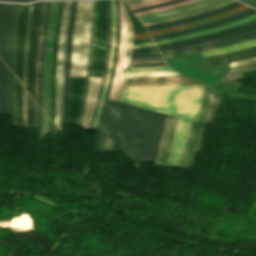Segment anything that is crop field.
<instances>
[{
    "label": "crop field",
    "mask_w": 256,
    "mask_h": 256,
    "mask_svg": "<svg viewBox=\"0 0 256 256\" xmlns=\"http://www.w3.org/2000/svg\"><path fill=\"white\" fill-rule=\"evenodd\" d=\"M165 114L109 100L95 149L122 151L134 162H155Z\"/></svg>",
    "instance_id": "crop-field-1"
},
{
    "label": "crop field",
    "mask_w": 256,
    "mask_h": 256,
    "mask_svg": "<svg viewBox=\"0 0 256 256\" xmlns=\"http://www.w3.org/2000/svg\"><path fill=\"white\" fill-rule=\"evenodd\" d=\"M201 94L202 86H126L123 102L196 121Z\"/></svg>",
    "instance_id": "crop-field-2"
},
{
    "label": "crop field",
    "mask_w": 256,
    "mask_h": 256,
    "mask_svg": "<svg viewBox=\"0 0 256 256\" xmlns=\"http://www.w3.org/2000/svg\"><path fill=\"white\" fill-rule=\"evenodd\" d=\"M93 0L78 1L72 45L71 75L85 77L88 61ZM71 76L66 125L76 126L83 94L84 78Z\"/></svg>",
    "instance_id": "crop-field-3"
},
{
    "label": "crop field",
    "mask_w": 256,
    "mask_h": 256,
    "mask_svg": "<svg viewBox=\"0 0 256 256\" xmlns=\"http://www.w3.org/2000/svg\"><path fill=\"white\" fill-rule=\"evenodd\" d=\"M108 0H98L95 28V44L90 77L101 78L107 39ZM101 79L90 78L81 127H89Z\"/></svg>",
    "instance_id": "crop-field-4"
},
{
    "label": "crop field",
    "mask_w": 256,
    "mask_h": 256,
    "mask_svg": "<svg viewBox=\"0 0 256 256\" xmlns=\"http://www.w3.org/2000/svg\"><path fill=\"white\" fill-rule=\"evenodd\" d=\"M235 0H198L178 7L138 15L144 26L198 14Z\"/></svg>",
    "instance_id": "crop-field-5"
},
{
    "label": "crop field",
    "mask_w": 256,
    "mask_h": 256,
    "mask_svg": "<svg viewBox=\"0 0 256 256\" xmlns=\"http://www.w3.org/2000/svg\"><path fill=\"white\" fill-rule=\"evenodd\" d=\"M71 1H65L62 15L59 44H58V58H57V75H56V116L55 123L61 130L62 109H63V71H64V57H65V38L68 26L69 11Z\"/></svg>",
    "instance_id": "crop-field-6"
},
{
    "label": "crop field",
    "mask_w": 256,
    "mask_h": 256,
    "mask_svg": "<svg viewBox=\"0 0 256 256\" xmlns=\"http://www.w3.org/2000/svg\"><path fill=\"white\" fill-rule=\"evenodd\" d=\"M43 1L34 2L31 24L30 37L28 43L27 69H26V89L34 98V80L36 69L37 43L39 35V24L41 18Z\"/></svg>",
    "instance_id": "crop-field-7"
},
{
    "label": "crop field",
    "mask_w": 256,
    "mask_h": 256,
    "mask_svg": "<svg viewBox=\"0 0 256 256\" xmlns=\"http://www.w3.org/2000/svg\"><path fill=\"white\" fill-rule=\"evenodd\" d=\"M254 29H256V20H254L250 23H247V24L232 27V28H229V29H226L223 31L213 33V34L196 37V38H191V39H186V40H182V41H178V42H174V43H170V44L159 45V46H157V48H158L159 52H162V51L179 48V47H183V46L199 44V43H204V42H208V41H212V40H216V39H221V38L229 37V36L236 35L239 33L251 31Z\"/></svg>",
    "instance_id": "crop-field-8"
},
{
    "label": "crop field",
    "mask_w": 256,
    "mask_h": 256,
    "mask_svg": "<svg viewBox=\"0 0 256 256\" xmlns=\"http://www.w3.org/2000/svg\"><path fill=\"white\" fill-rule=\"evenodd\" d=\"M29 6L30 4H20L19 15H18L16 54H15V74L19 77L21 82H22L26 25H27Z\"/></svg>",
    "instance_id": "crop-field-9"
},
{
    "label": "crop field",
    "mask_w": 256,
    "mask_h": 256,
    "mask_svg": "<svg viewBox=\"0 0 256 256\" xmlns=\"http://www.w3.org/2000/svg\"><path fill=\"white\" fill-rule=\"evenodd\" d=\"M254 13H256V10L248 8V9L241 11L237 14L231 15L229 17H226V18H223V19H220V20L208 23V24L185 28V29H181V30H177V31H172V32L152 36L151 38L153 41H156V40L167 39V38H171V37H175V36H179V35H183V34H187V33H191V32L205 30V29L213 28V27H216L219 25H223V24H226L229 22H233V21L242 19V18L250 16Z\"/></svg>",
    "instance_id": "crop-field-10"
},
{
    "label": "crop field",
    "mask_w": 256,
    "mask_h": 256,
    "mask_svg": "<svg viewBox=\"0 0 256 256\" xmlns=\"http://www.w3.org/2000/svg\"><path fill=\"white\" fill-rule=\"evenodd\" d=\"M76 8H77V1H72L69 26H68L67 45H66L65 72H64V110H63L62 124H65V121H66L67 99H68L69 80H70L71 43H72L73 28H74V22H75V16H76Z\"/></svg>",
    "instance_id": "crop-field-11"
},
{
    "label": "crop field",
    "mask_w": 256,
    "mask_h": 256,
    "mask_svg": "<svg viewBox=\"0 0 256 256\" xmlns=\"http://www.w3.org/2000/svg\"><path fill=\"white\" fill-rule=\"evenodd\" d=\"M212 95H213V92H211L206 87H204L202 108H201L199 120H198V122H196V125H195V130H194V133H193L191 146H190V150H189V154H188L187 163H186L185 168H187V167L191 168L192 167V163H193V159H194V155H195L199 135H200V132H201L202 124H203V122L206 123V121H207Z\"/></svg>",
    "instance_id": "crop-field-12"
},
{
    "label": "crop field",
    "mask_w": 256,
    "mask_h": 256,
    "mask_svg": "<svg viewBox=\"0 0 256 256\" xmlns=\"http://www.w3.org/2000/svg\"><path fill=\"white\" fill-rule=\"evenodd\" d=\"M192 122L191 120L179 118L168 166L178 167Z\"/></svg>",
    "instance_id": "crop-field-13"
},
{
    "label": "crop field",
    "mask_w": 256,
    "mask_h": 256,
    "mask_svg": "<svg viewBox=\"0 0 256 256\" xmlns=\"http://www.w3.org/2000/svg\"><path fill=\"white\" fill-rule=\"evenodd\" d=\"M126 85H201L182 75L128 78Z\"/></svg>",
    "instance_id": "crop-field-14"
},
{
    "label": "crop field",
    "mask_w": 256,
    "mask_h": 256,
    "mask_svg": "<svg viewBox=\"0 0 256 256\" xmlns=\"http://www.w3.org/2000/svg\"><path fill=\"white\" fill-rule=\"evenodd\" d=\"M255 38H256V30L247 32V33H243L240 35H236L233 37L209 42V43H204V44H200V45H196V46H192V47L180 48V49L163 52V53H161V55L184 51V50H189V49H194V48H197L200 52H203V51H207V50H211V49H215V48H219V47H224V46L248 41V40L255 39Z\"/></svg>",
    "instance_id": "crop-field-15"
},
{
    "label": "crop field",
    "mask_w": 256,
    "mask_h": 256,
    "mask_svg": "<svg viewBox=\"0 0 256 256\" xmlns=\"http://www.w3.org/2000/svg\"><path fill=\"white\" fill-rule=\"evenodd\" d=\"M177 120H178L177 117H173L169 115L167 116L156 164L164 165V166H166L167 164Z\"/></svg>",
    "instance_id": "crop-field-16"
},
{
    "label": "crop field",
    "mask_w": 256,
    "mask_h": 256,
    "mask_svg": "<svg viewBox=\"0 0 256 256\" xmlns=\"http://www.w3.org/2000/svg\"><path fill=\"white\" fill-rule=\"evenodd\" d=\"M11 8L12 3H0V56L6 64Z\"/></svg>",
    "instance_id": "crop-field-17"
},
{
    "label": "crop field",
    "mask_w": 256,
    "mask_h": 256,
    "mask_svg": "<svg viewBox=\"0 0 256 256\" xmlns=\"http://www.w3.org/2000/svg\"><path fill=\"white\" fill-rule=\"evenodd\" d=\"M122 6H123V11L125 15V20H126V31H127V38H126V47H125V58H124V65H123V71H122V76L116 96V100L121 101L122 100V95L124 91V87L126 84V78H127V70L129 68V60L131 56V46H132V40H133V30L131 26L130 19L128 17V14L126 12V9L124 7L123 0H121Z\"/></svg>",
    "instance_id": "crop-field-18"
},
{
    "label": "crop field",
    "mask_w": 256,
    "mask_h": 256,
    "mask_svg": "<svg viewBox=\"0 0 256 256\" xmlns=\"http://www.w3.org/2000/svg\"><path fill=\"white\" fill-rule=\"evenodd\" d=\"M241 5H243V4L235 1L231 4L226 5V6H223V7L211 10V11H207V12H204V13H201V14H198V15H194V16H191V17L183 18V19L173 20V21H169V22H164V23H160V24H156V25H151V26H147L145 28H146L147 31H150V30H154V29L179 25V24L195 21V20H198V19H202V18H205V17H209V16H212V15H216V14H219L223 11H226V10H229V9L241 6Z\"/></svg>",
    "instance_id": "crop-field-19"
},
{
    "label": "crop field",
    "mask_w": 256,
    "mask_h": 256,
    "mask_svg": "<svg viewBox=\"0 0 256 256\" xmlns=\"http://www.w3.org/2000/svg\"><path fill=\"white\" fill-rule=\"evenodd\" d=\"M119 6H120L121 36H120V48H119L117 65H116L115 77H114V82H113V86H112V90H111V94H110V98H109L112 100L115 99L117 87H118L120 76H121L123 57H124L125 38H126L125 21H124V16H123L120 0H119Z\"/></svg>",
    "instance_id": "crop-field-20"
},
{
    "label": "crop field",
    "mask_w": 256,
    "mask_h": 256,
    "mask_svg": "<svg viewBox=\"0 0 256 256\" xmlns=\"http://www.w3.org/2000/svg\"><path fill=\"white\" fill-rule=\"evenodd\" d=\"M114 48H115V0H112V42H111V50H110V58H109V66H108V73H107V79H106V83H105V87L103 90V94H102V98L100 101V105H99V109L93 124V130L95 128V124L97 122V119L99 117V114L101 112V107H102V103L104 101L105 98V94L107 91V87H108V83H109V77H110V71H111V65H112V61H113V56H114Z\"/></svg>",
    "instance_id": "crop-field-21"
},
{
    "label": "crop field",
    "mask_w": 256,
    "mask_h": 256,
    "mask_svg": "<svg viewBox=\"0 0 256 256\" xmlns=\"http://www.w3.org/2000/svg\"><path fill=\"white\" fill-rule=\"evenodd\" d=\"M19 4H13L10 35H9V53H8V67L14 72V47H15V29L18 15Z\"/></svg>",
    "instance_id": "crop-field-22"
},
{
    "label": "crop field",
    "mask_w": 256,
    "mask_h": 256,
    "mask_svg": "<svg viewBox=\"0 0 256 256\" xmlns=\"http://www.w3.org/2000/svg\"><path fill=\"white\" fill-rule=\"evenodd\" d=\"M110 42H111V0H109V8H108V40H107V48H106L105 66H104V72H103V76H102V80H101V84H100L99 94H98V98H97L93 118H92V121H91V124H90V129L92 128V124H93V121H94V118H95V115H96V112H97V109H98L101 93H102L104 83H105V79H106L108 58H109V50H110Z\"/></svg>",
    "instance_id": "crop-field-23"
},
{
    "label": "crop field",
    "mask_w": 256,
    "mask_h": 256,
    "mask_svg": "<svg viewBox=\"0 0 256 256\" xmlns=\"http://www.w3.org/2000/svg\"><path fill=\"white\" fill-rule=\"evenodd\" d=\"M119 35H120L119 6H118V0H116V48H115V56H114V61H113V66H112V71H111V77H110V83H109L108 91H107V94H106V98H105V101H104L102 112H101L100 117L98 119V122L96 124V128H95L96 131L99 128V122H100V119H101L102 114L104 112L106 103L108 101V97H109V93H110V89H111V85H112V81H113L114 70H115V65H116V60H117V55H118V48H119Z\"/></svg>",
    "instance_id": "crop-field-24"
},
{
    "label": "crop field",
    "mask_w": 256,
    "mask_h": 256,
    "mask_svg": "<svg viewBox=\"0 0 256 256\" xmlns=\"http://www.w3.org/2000/svg\"><path fill=\"white\" fill-rule=\"evenodd\" d=\"M96 4H97V0H94V10H93V16H92V25H91L89 62H88L87 71H86V81H85V88H84V94H83V100H82L81 114H80L79 122L77 125L78 127H80V123H81V117H82V112H83L86 93H87L88 78H89V73H90L91 63H92L94 27H95V19H96Z\"/></svg>",
    "instance_id": "crop-field-25"
},
{
    "label": "crop field",
    "mask_w": 256,
    "mask_h": 256,
    "mask_svg": "<svg viewBox=\"0 0 256 256\" xmlns=\"http://www.w3.org/2000/svg\"><path fill=\"white\" fill-rule=\"evenodd\" d=\"M0 113L7 114V67L0 59Z\"/></svg>",
    "instance_id": "crop-field-26"
},
{
    "label": "crop field",
    "mask_w": 256,
    "mask_h": 256,
    "mask_svg": "<svg viewBox=\"0 0 256 256\" xmlns=\"http://www.w3.org/2000/svg\"><path fill=\"white\" fill-rule=\"evenodd\" d=\"M254 19H256V14H254V15L248 17V18H245V19H242V20L230 23V24H226V25H223V26H220V27H216V28H213V29H210V30H206V31H202V32H196V33H192V34H188V35H184V36H180V37H176V38L156 42L155 45L169 43V42H173V41H177V40H181V39H185V38H189V37H193V36H197V35H205L207 33L213 32V31H217V30L229 28V27H232V26H235V25H239V24H242V23L250 22Z\"/></svg>",
    "instance_id": "crop-field-27"
},
{
    "label": "crop field",
    "mask_w": 256,
    "mask_h": 256,
    "mask_svg": "<svg viewBox=\"0 0 256 256\" xmlns=\"http://www.w3.org/2000/svg\"><path fill=\"white\" fill-rule=\"evenodd\" d=\"M15 126L23 127L22 85L15 77Z\"/></svg>",
    "instance_id": "crop-field-28"
},
{
    "label": "crop field",
    "mask_w": 256,
    "mask_h": 256,
    "mask_svg": "<svg viewBox=\"0 0 256 256\" xmlns=\"http://www.w3.org/2000/svg\"><path fill=\"white\" fill-rule=\"evenodd\" d=\"M9 92H8V114L10 125H14V74L8 69Z\"/></svg>",
    "instance_id": "crop-field-29"
},
{
    "label": "crop field",
    "mask_w": 256,
    "mask_h": 256,
    "mask_svg": "<svg viewBox=\"0 0 256 256\" xmlns=\"http://www.w3.org/2000/svg\"><path fill=\"white\" fill-rule=\"evenodd\" d=\"M253 45H256V39L252 40V41L244 42L241 44L221 48V49L203 52L202 54L204 55V57H207V56L220 54V53H224V52H228V51H232V50H237V49H241V48H245V47H249V46H253Z\"/></svg>",
    "instance_id": "crop-field-30"
},
{
    "label": "crop field",
    "mask_w": 256,
    "mask_h": 256,
    "mask_svg": "<svg viewBox=\"0 0 256 256\" xmlns=\"http://www.w3.org/2000/svg\"><path fill=\"white\" fill-rule=\"evenodd\" d=\"M256 70V62L229 67L228 74H236Z\"/></svg>",
    "instance_id": "crop-field-31"
},
{
    "label": "crop field",
    "mask_w": 256,
    "mask_h": 256,
    "mask_svg": "<svg viewBox=\"0 0 256 256\" xmlns=\"http://www.w3.org/2000/svg\"><path fill=\"white\" fill-rule=\"evenodd\" d=\"M26 100H27V128H33L34 101L30 98L27 92H26Z\"/></svg>",
    "instance_id": "crop-field-32"
},
{
    "label": "crop field",
    "mask_w": 256,
    "mask_h": 256,
    "mask_svg": "<svg viewBox=\"0 0 256 256\" xmlns=\"http://www.w3.org/2000/svg\"><path fill=\"white\" fill-rule=\"evenodd\" d=\"M194 124H195V122H193V124L191 126V129H190V132L188 134L187 142H186L184 152H183V155H182V158H181V162H180V165H179V167H182V168H184V166H185V162H186V158H187V154H188V149H189V144H190V140H191V137H192Z\"/></svg>",
    "instance_id": "crop-field-33"
},
{
    "label": "crop field",
    "mask_w": 256,
    "mask_h": 256,
    "mask_svg": "<svg viewBox=\"0 0 256 256\" xmlns=\"http://www.w3.org/2000/svg\"><path fill=\"white\" fill-rule=\"evenodd\" d=\"M47 4H48V1H47ZM46 16H47V5H46V11H45V15H44L43 28H42L41 55H40L39 70H38V105H39V101H40V68H41L42 45H43V38H44V25H45V21H46Z\"/></svg>",
    "instance_id": "crop-field-34"
},
{
    "label": "crop field",
    "mask_w": 256,
    "mask_h": 256,
    "mask_svg": "<svg viewBox=\"0 0 256 256\" xmlns=\"http://www.w3.org/2000/svg\"><path fill=\"white\" fill-rule=\"evenodd\" d=\"M220 99H221L220 97H218L214 94L210 113H209V118H208V122H207L208 124H212V122H213V118H214L215 112L217 110V107L220 103Z\"/></svg>",
    "instance_id": "crop-field-35"
},
{
    "label": "crop field",
    "mask_w": 256,
    "mask_h": 256,
    "mask_svg": "<svg viewBox=\"0 0 256 256\" xmlns=\"http://www.w3.org/2000/svg\"><path fill=\"white\" fill-rule=\"evenodd\" d=\"M178 74L173 71L166 72H152V73H129L128 77H137V76H157V75H174Z\"/></svg>",
    "instance_id": "crop-field-36"
},
{
    "label": "crop field",
    "mask_w": 256,
    "mask_h": 256,
    "mask_svg": "<svg viewBox=\"0 0 256 256\" xmlns=\"http://www.w3.org/2000/svg\"><path fill=\"white\" fill-rule=\"evenodd\" d=\"M170 70L168 67H141V68H130L129 72H148V71H163Z\"/></svg>",
    "instance_id": "crop-field-37"
},
{
    "label": "crop field",
    "mask_w": 256,
    "mask_h": 256,
    "mask_svg": "<svg viewBox=\"0 0 256 256\" xmlns=\"http://www.w3.org/2000/svg\"><path fill=\"white\" fill-rule=\"evenodd\" d=\"M254 56H256V53L249 54V55H244V56H239V57H235V58H230V59H226V60L216 61V62H212L211 64L213 66H216V65H220V64L240 60V59L250 58V57H254Z\"/></svg>",
    "instance_id": "crop-field-38"
},
{
    "label": "crop field",
    "mask_w": 256,
    "mask_h": 256,
    "mask_svg": "<svg viewBox=\"0 0 256 256\" xmlns=\"http://www.w3.org/2000/svg\"><path fill=\"white\" fill-rule=\"evenodd\" d=\"M45 5H46V1H44V6H43L41 25H40V36H41V27H42L43 15L45 11ZM40 36H39V44H38L37 69H38V60H39V52H40ZM35 101L37 103V70H36V81H35Z\"/></svg>",
    "instance_id": "crop-field-39"
},
{
    "label": "crop field",
    "mask_w": 256,
    "mask_h": 256,
    "mask_svg": "<svg viewBox=\"0 0 256 256\" xmlns=\"http://www.w3.org/2000/svg\"><path fill=\"white\" fill-rule=\"evenodd\" d=\"M50 5H51V1H49V5H48V16H47V22H46V26H45V39H44V46H43L42 71H41V101H40V108H42V73H43V61H44V53H45L46 31H47V24H48Z\"/></svg>",
    "instance_id": "crop-field-40"
},
{
    "label": "crop field",
    "mask_w": 256,
    "mask_h": 256,
    "mask_svg": "<svg viewBox=\"0 0 256 256\" xmlns=\"http://www.w3.org/2000/svg\"><path fill=\"white\" fill-rule=\"evenodd\" d=\"M163 61L162 57H138L132 58V62H156Z\"/></svg>",
    "instance_id": "crop-field-41"
},
{
    "label": "crop field",
    "mask_w": 256,
    "mask_h": 256,
    "mask_svg": "<svg viewBox=\"0 0 256 256\" xmlns=\"http://www.w3.org/2000/svg\"><path fill=\"white\" fill-rule=\"evenodd\" d=\"M191 1H195V0H187V1L179 2V3H175V4L163 6V7L154 8V9H150V10L135 13V15L143 14V13H147V12H152V11H157V10H161V9H165V8H169V7H173V6H177V5H181V4H184V3H188V2H191Z\"/></svg>",
    "instance_id": "crop-field-42"
},
{
    "label": "crop field",
    "mask_w": 256,
    "mask_h": 256,
    "mask_svg": "<svg viewBox=\"0 0 256 256\" xmlns=\"http://www.w3.org/2000/svg\"><path fill=\"white\" fill-rule=\"evenodd\" d=\"M149 52H157L155 46L144 47V48H133V50H132V54L149 53Z\"/></svg>",
    "instance_id": "crop-field-43"
},
{
    "label": "crop field",
    "mask_w": 256,
    "mask_h": 256,
    "mask_svg": "<svg viewBox=\"0 0 256 256\" xmlns=\"http://www.w3.org/2000/svg\"><path fill=\"white\" fill-rule=\"evenodd\" d=\"M253 52H256V49L249 50V51H244V52H239V53H235V54H231V55H227V56H223V57H219V58L209 59L208 61L212 62V61H216V60L226 59V58L235 57V56L244 55V54H249V53H253Z\"/></svg>",
    "instance_id": "crop-field-44"
},
{
    "label": "crop field",
    "mask_w": 256,
    "mask_h": 256,
    "mask_svg": "<svg viewBox=\"0 0 256 256\" xmlns=\"http://www.w3.org/2000/svg\"><path fill=\"white\" fill-rule=\"evenodd\" d=\"M164 1H168V0H156V1L141 3V4H137V5H132V6H129V7L131 9H135V8L145 7V6L153 5V4L164 2Z\"/></svg>",
    "instance_id": "crop-field-45"
},
{
    "label": "crop field",
    "mask_w": 256,
    "mask_h": 256,
    "mask_svg": "<svg viewBox=\"0 0 256 256\" xmlns=\"http://www.w3.org/2000/svg\"><path fill=\"white\" fill-rule=\"evenodd\" d=\"M178 1H182V0H173V1L165 2V3H161V4H157V5H153V6H149V7H145V8L135 9V10H133V12H137V11H141V10H145V9H150V8H154V7H158V6L178 2Z\"/></svg>",
    "instance_id": "crop-field-46"
},
{
    "label": "crop field",
    "mask_w": 256,
    "mask_h": 256,
    "mask_svg": "<svg viewBox=\"0 0 256 256\" xmlns=\"http://www.w3.org/2000/svg\"><path fill=\"white\" fill-rule=\"evenodd\" d=\"M253 61H256V58H250V59H245V60H240V61L232 62V63H230L229 66L237 65V64H243V63H248V62H253Z\"/></svg>",
    "instance_id": "crop-field-47"
},
{
    "label": "crop field",
    "mask_w": 256,
    "mask_h": 256,
    "mask_svg": "<svg viewBox=\"0 0 256 256\" xmlns=\"http://www.w3.org/2000/svg\"><path fill=\"white\" fill-rule=\"evenodd\" d=\"M197 51H198L197 49H194V50H189V51L174 53V54H170V55L163 56V58L171 57V56H176V55H181V54H186V53L197 52Z\"/></svg>",
    "instance_id": "crop-field-48"
},
{
    "label": "crop field",
    "mask_w": 256,
    "mask_h": 256,
    "mask_svg": "<svg viewBox=\"0 0 256 256\" xmlns=\"http://www.w3.org/2000/svg\"><path fill=\"white\" fill-rule=\"evenodd\" d=\"M145 42H152V41L150 37H147V38L136 39L133 41V44L145 43Z\"/></svg>",
    "instance_id": "crop-field-49"
},
{
    "label": "crop field",
    "mask_w": 256,
    "mask_h": 256,
    "mask_svg": "<svg viewBox=\"0 0 256 256\" xmlns=\"http://www.w3.org/2000/svg\"><path fill=\"white\" fill-rule=\"evenodd\" d=\"M128 5L131 4H136V3H141V2H146V1H151V0H126Z\"/></svg>",
    "instance_id": "crop-field-50"
},
{
    "label": "crop field",
    "mask_w": 256,
    "mask_h": 256,
    "mask_svg": "<svg viewBox=\"0 0 256 256\" xmlns=\"http://www.w3.org/2000/svg\"><path fill=\"white\" fill-rule=\"evenodd\" d=\"M253 48H256V46L250 47V48H246V49L237 50V51L230 52V53H235V52H239V51L249 50V49H253ZM230 53H226V54H230ZM226 54H221V55H217V56H222V55H226ZM217 56L207 57L206 59L217 57Z\"/></svg>",
    "instance_id": "crop-field-51"
},
{
    "label": "crop field",
    "mask_w": 256,
    "mask_h": 256,
    "mask_svg": "<svg viewBox=\"0 0 256 256\" xmlns=\"http://www.w3.org/2000/svg\"><path fill=\"white\" fill-rule=\"evenodd\" d=\"M137 56H160V54L159 53H149V54L132 55V57H137Z\"/></svg>",
    "instance_id": "crop-field-52"
},
{
    "label": "crop field",
    "mask_w": 256,
    "mask_h": 256,
    "mask_svg": "<svg viewBox=\"0 0 256 256\" xmlns=\"http://www.w3.org/2000/svg\"><path fill=\"white\" fill-rule=\"evenodd\" d=\"M241 1L256 7V0H241Z\"/></svg>",
    "instance_id": "crop-field-53"
},
{
    "label": "crop field",
    "mask_w": 256,
    "mask_h": 256,
    "mask_svg": "<svg viewBox=\"0 0 256 256\" xmlns=\"http://www.w3.org/2000/svg\"><path fill=\"white\" fill-rule=\"evenodd\" d=\"M0 1L33 2V1H37V0H0Z\"/></svg>",
    "instance_id": "crop-field-54"
},
{
    "label": "crop field",
    "mask_w": 256,
    "mask_h": 256,
    "mask_svg": "<svg viewBox=\"0 0 256 256\" xmlns=\"http://www.w3.org/2000/svg\"><path fill=\"white\" fill-rule=\"evenodd\" d=\"M153 45V43H149V44H138V45H134L133 47H143V46H151Z\"/></svg>",
    "instance_id": "crop-field-55"
},
{
    "label": "crop field",
    "mask_w": 256,
    "mask_h": 256,
    "mask_svg": "<svg viewBox=\"0 0 256 256\" xmlns=\"http://www.w3.org/2000/svg\"><path fill=\"white\" fill-rule=\"evenodd\" d=\"M36 121H37V105L35 103V124H34V128H36Z\"/></svg>",
    "instance_id": "crop-field-56"
},
{
    "label": "crop field",
    "mask_w": 256,
    "mask_h": 256,
    "mask_svg": "<svg viewBox=\"0 0 256 256\" xmlns=\"http://www.w3.org/2000/svg\"><path fill=\"white\" fill-rule=\"evenodd\" d=\"M39 111H40V108L38 107V121H39ZM37 128H38V122H37Z\"/></svg>",
    "instance_id": "crop-field-57"
}]
</instances>
